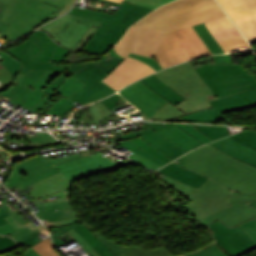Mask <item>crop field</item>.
<instances>
[{
	"mask_svg": "<svg viewBox=\"0 0 256 256\" xmlns=\"http://www.w3.org/2000/svg\"><path fill=\"white\" fill-rule=\"evenodd\" d=\"M80 218V217H79ZM81 219V218H80ZM83 223H85V221L83 219H81ZM86 224V223H85ZM86 226L97 236L99 237L105 244L106 246L116 255H120V254H123V252L119 249L123 246L119 245V244H116L106 238H104L103 236L99 235L98 233H96L90 226H88L86 224Z\"/></svg>",
	"mask_w": 256,
	"mask_h": 256,
	"instance_id": "43",
	"label": "crop field"
},
{
	"mask_svg": "<svg viewBox=\"0 0 256 256\" xmlns=\"http://www.w3.org/2000/svg\"><path fill=\"white\" fill-rule=\"evenodd\" d=\"M73 21L81 22L85 24H90L99 27L100 23L99 21L78 17L74 15L67 14L66 16L48 24L45 25L39 29H44L49 32L50 36L53 38L54 41L58 42L61 40V38L64 36L70 25Z\"/></svg>",
	"mask_w": 256,
	"mask_h": 256,
	"instance_id": "20",
	"label": "crop field"
},
{
	"mask_svg": "<svg viewBox=\"0 0 256 256\" xmlns=\"http://www.w3.org/2000/svg\"><path fill=\"white\" fill-rule=\"evenodd\" d=\"M112 1H116V2L122 3L124 0H112Z\"/></svg>",
	"mask_w": 256,
	"mask_h": 256,
	"instance_id": "71",
	"label": "crop field"
},
{
	"mask_svg": "<svg viewBox=\"0 0 256 256\" xmlns=\"http://www.w3.org/2000/svg\"><path fill=\"white\" fill-rule=\"evenodd\" d=\"M90 27V25L73 22L59 44L73 50Z\"/></svg>",
	"mask_w": 256,
	"mask_h": 256,
	"instance_id": "27",
	"label": "crop field"
},
{
	"mask_svg": "<svg viewBox=\"0 0 256 256\" xmlns=\"http://www.w3.org/2000/svg\"><path fill=\"white\" fill-rule=\"evenodd\" d=\"M73 181L69 182L61 172L52 175L38 183L31 185L34 188L28 191L35 199L51 195L56 192L71 189Z\"/></svg>",
	"mask_w": 256,
	"mask_h": 256,
	"instance_id": "18",
	"label": "crop field"
},
{
	"mask_svg": "<svg viewBox=\"0 0 256 256\" xmlns=\"http://www.w3.org/2000/svg\"><path fill=\"white\" fill-rule=\"evenodd\" d=\"M185 30L190 35V37L193 39V41L196 43V45L200 48V50L203 52L204 55L211 54V52L208 50V48L206 47L204 42L201 40V38L198 36V34L192 28V26L185 28Z\"/></svg>",
	"mask_w": 256,
	"mask_h": 256,
	"instance_id": "44",
	"label": "crop field"
},
{
	"mask_svg": "<svg viewBox=\"0 0 256 256\" xmlns=\"http://www.w3.org/2000/svg\"><path fill=\"white\" fill-rule=\"evenodd\" d=\"M204 24L224 53L250 49L249 44L228 16L204 22Z\"/></svg>",
	"mask_w": 256,
	"mask_h": 256,
	"instance_id": "13",
	"label": "crop field"
},
{
	"mask_svg": "<svg viewBox=\"0 0 256 256\" xmlns=\"http://www.w3.org/2000/svg\"><path fill=\"white\" fill-rule=\"evenodd\" d=\"M80 221V219L77 217L75 219H71V220H66V221H60V222H43L45 225H47L48 227H60L66 224H70V223H74V222H78Z\"/></svg>",
	"mask_w": 256,
	"mask_h": 256,
	"instance_id": "57",
	"label": "crop field"
},
{
	"mask_svg": "<svg viewBox=\"0 0 256 256\" xmlns=\"http://www.w3.org/2000/svg\"><path fill=\"white\" fill-rule=\"evenodd\" d=\"M176 125L181 129H183L184 131H186L187 133H189L190 135H192L193 137H195L196 139H198L199 141H201L203 144L213 141L191 125H186V124H176Z\"/></svg>",
	"mask_w": 256,
	"mask_h": 256,
	"instance_id": "42",
	"label": "crop field"
},
{
	"mask_svg": "<svg viewBox=\"0 0 256 256\" xmlns=\"http://www.w3.org/2000/svg\"><path fill=\"white\" fill-rule=\"evenodd\" d=\"M220 151L246 163L256 166V150L241 145L231 136L211 143Z\"/></svg>",
	"mask_w": 256,
	"mask_h": 256,
	"instance_id": "19",
	"label": "crop field"
},
{
	"mask_svg": "<svg viewBox=\"0 0 256 256\" xmlns=\"http://www.w3.org/2000/svg\"><path fill=\"white\" fill-rule=\"evenodd\" d=\"M119 144V143H118ZM121 145V144H120ZM122 146V145H121ZM124 147V146H123ZM127 149V148H126ZM130 151V150H129ZM132 152V151H131ZM134 153V152H133ZM128 158H130V159H132V160H134V161H136V162H138V163H140V164H142V165H144V166H146V167H148V168H150V169H152V170H156V169H158V168H160V167H162V166H160V165H158V164H156V163H154V162H152V161H150V160H148V159H146V158H144V157H142V156H140V155H138V154H136V153H134L132 156H130V157H128Z\"/></svg>",
	"mask_w": 256,
	"mask_h": 256,
	"instance_id": "49",
	"label": "crop field"
},
{
	"mask_svg": "<svg viewBox=\"0 0 256 256\" xmlns=\"http://www.w3.org/2000/svg\"><path fill=\"white\" fill-rule=\"evenodd\" d=\"M23 65L37 70L66 71L65 67L52 65L53 60L62 62H78L101 59L100 56L76 54L53 42L49 35L42 31H34L24 43L5 50Z\"/></svg>",
	"mask_w": 256,
	"mask_h": 256,
	"instance_id": "7",
	"label": "crop field"
},
{
	"mask_svg": "<svg viewBox=\"0 0 256 256\" xmlns=\"http://www.w3.org/2000/svg\"><path fill=\"white\" fill-rule=\"evenodd\" d=\"M4 10H5V5H3V4L0 3V34H1V33L4 31V29L7 27V25L1 21L2 16H3V13H4ZM1 37H2V36L0 35V38H1Z\"/></svg>",
	"mask_w": 256,
	"mask_h": 256,
	"instance_id": "60",
	"label": "crop field"
},
{
	"mask_svg": "<svg viewBox=\"0 0 256 256\" xmlns=\"http://www.w3.org/2000/svg\"><path fill=\"white\" fill-rule=\"evenodd\" d=\"M129 163L133 162L125 159L122 163L118 164L100 154L85 157L77 154L50 161L39 155L16 164L4 185L10 189L17 187L22 190L59 171L71 181L88 174Z\"/></svg>",
	"mask_w": 256,
	"mask_h": 256,
	"instance_id": "3",
	"label": "crop field"
},
{
	"mask_svg": "<svg viewBox=\"0 0 256 256\" xmlns=\"http://www.w3.org/2000/svg\"><path fill=\"white\" fill-rule=\"evenodd\" d=\"M101 256H115L86 226L82 224L73 228Z\"/></svg>",
	"mask_w": 256,
	"mask_h": 256,
	"instance_id": "28",
	"label": "crop field"
},
{
	"mask_svg": "<svg viewBox=\"0 0 256 256\" xmlns=\"http://www.w3.org/2000/svg\"><path fill=\"white\" fill-rule=\"evenodd\" d=\"M191 256H227V255L222 250H220L216 245H213Z\"/></svg>",
	"mask_w": 256,
	"mask_h": 256,
	"instance_id": "48",
	"label": "crop field"
},
{
	"mask_svg": "<svg viewBox=\"0 0 256 256\" xmlns=\"http://www.w3.org/2000/svg\"><path fill=\"white\" fill-rule=\"evenodd\" d=\"M130 57H133V58H136L138 60H141L147 64H149L150 66H152L154 68V70L158 71L161 68V66L154 60H152L151 58H148V57H143V56H139V55H136V54H132L130 53L129 55Z\"/></svg>",
	"mask_w": 256,
	"mask_h": 256,
	"instance_id": "55",
	"label": "crop field"
},
{
	"mask_svg": "<svg viewBox=\"0 0 256 256\" xmlns=\"http://www.w3.org/2000/svg\"><path fill=\"white\" fill-rule=\"evenodd\" d=\"M6 4L2 21L9 26L1 34L11 41L31 30L30 26L49 17L58 8L38 0H0Z\"/></svg>",
	"mask_w": 256,
	"mask_h": 256,
	"instance_id": "8",
	"label": "crop field"
},
{
	"mask_svg": "<svg viewBox=\"0 0 256 256\" xmlns=\"http://www.w3.org/2000/svg\"><path fill=\"white\" fill-rule=\"evenodd\" d=\"M85 85L86 84L72 76L66 79L64 83L55 91V93L70 98Z\"/></svg>",
	"mask_w": 256,
	"mask_h": 256,
	"instance_id": "30",
	"label": "crop field"
},
{
	"mask_svg": "<svg viewBox=\"0 0 256 256\" xmlns=\"http://www.w3.org/2000/svg\"><path fill=\"white\" fill-rule=\"evenodd\" d=\"M249 42H256V0H217Z\"/></svg>",
	"mask_w": 256,
	"mask_h": 256,
	"instance_id": "12",
	"label": "crop field"
},
{
	"mask_svg": "<svg viewBox=\"0 0 256 256\" xmlns=\"http://www.w3.org/2000/svg\"><path fill=\"white\" fill-rule=\"evenodd\" d=\"M175 34L188 52L191 59L199 56H204L184 29L175 31Z\"/></svg>",
	"mask_w": 256,
	"mask_h": 256,
	"instance_id": "33",
	"label": "crop field"
},
{
	"mask_svg": "<svg viewBox=\"0 0 256 256\" xmlns=\"http://www.w3.org/2000/svg\"><path fill=\"white\" fill-rule=\"evenodd\" d=\"M4 256H14V255L8 254V255H4Z\"/></svg>",
	"mask_w": 256,
	"mask_h": 256,
	"instance_id": "73",
	"label": "crop field"
},
{
	"mask_svg": "<svg viewBox=\"0 0 256 256\" xmlns=\"http://www.w3.org/2000/svg\"><path fill=\"white\" fill-rule=\"evenodd\" d=\"M87 9H92V10H96V11H101V12H106V13H111V14H114L116 9L115 8H109L108 10L109 11H106V9L104 8H99V7H95V6H90V5H87L86 7Z\"/></svg>",
	"mask_w": 256,
	"mask_h": 256,
	"instance_id": "61",
	"label": "crop field"
},
{
	"mask_svg": "<svg viewBox=\"0 0 256 256\" xmlns=\"http://www.w3.org/2000/svg\"><path fill=\"white\" fill-rule=\"evenodd\" d=\"M75 1L76 0H69V2L66 4V6L57 14V16L55 18H57L58 16H60L61 14H63L67 10H69L71 8V6L75 3ZM55 18H52L51 20H53Z\"/></svg>",
	"mask_w": 256,
	"mask_h": 256,
	"instance_id": "62",
	"label": "crop field"
},
{
	"mask_svg": "<svg viewBox=\"0 0 256 256\" xmlns=\"http://www.w3.org/2000/svg\"><path fill=\"white\" fill-rule=\"evenodd\" d=\"M240 143L256 149V133L253 131H242L236 135H232Z\"/></svg>",
	"mask_w": 256,
	"mask_h": 256,
	"instance_id": "40",
	"label": "crop field"
},
{
	"mask_svg": "<svg viewBox=\"0 0 256 256\" xmlns=\"http://www.w3.org/2000/svg\"><path fill=\"white\" fill-rule=\"evenodd\" d=\"M153 68L136 60L127 57L118 67H116L105 79L101 80L107 83L115 90H120L129 83H132L150 73Z\"/></svg>",
	"mask_w": 256,
	"mask_h": 256,
	"instance_id": "14",
	"label": "crop field"
},
{
	"mask_svg": "<svg viewBox=\"0 0 256 256\" xmlns=\"http://www.w3.org/2000/svg\"><path fill=\"white\" fill-rule=\"evenodd\" d=\"M152 10L154 9L123 2L114 15L76 7L70 14L102 21L81 50L86 53L102 54L119 41L131 24Z\"/></svg>",
	"mask_w": 256,
	"mask_h": 256,
	"instance_id": "6",
	"label": "crop field"
},
{
	"mask_svg": "<svg viewBox=\"0 0 256 256\" xmlns=\"http://www.w3.org/2000/svg\"><path fill=\"white\" fill-rule=\"evenodd\" d=\"M20 247L14 240L0 235V253L12 251Z\"/></svg>",
	"mask_w": 256,
	"mask_h": 256,
	"instance_id": "47",
	"label": "crop field"
},
{
	"mask_svg": "<svg viewBox=\"0 0 256 256\" xmlns=\"http://www.w3.org/2000/svg\"><path fill=\"white\" fill-rule=\"evenodd\" d=\"M156 130L161 135L165 136L167 139L178 144L184 149L190 151L200 145H203L195 138L187 134L186 132L179 129L174 124H165V123H146Z\"/></svg>",
	"mask_w": 256,
	"mask_h": 256,
	"instance_id": "17",
	"label": "crop field"
},
{
	"mask_svg": "<svg viewBox=\"0 0 256 256\" xmlns=\"http://www.w3.org/2000/svg\"><path fill=\"white\" fill-rule=\"evenodd\" d=\"M121 250L125 253L122 256H172L164 247L150 252L135 246L123 247Z\"/></svg>",
	"mask_w": 256,
	"mask_h": 256,
	"instance_id": "32",
	"label": "crop field"
},
{
	"mask_svg": "<svg viewBox=\"0 0 256 256\" xmlns=\"http://www.w3.org/2000/svg\"><path fill=\"white\" fill-rule=\"evenodd\" d=\"M181 256H183V255H181Z\"/></svg>",
	"mask_w": 256,
	"mask_h": 256,
	"instance_id": "74",
	"label": "crop field"
},
{
	"mask_svg": "<svg viewBox=\"0 0 256 256\" xmlns=\"http://www.w3.org/2000/svg\"><path fill=\"white\" fill-rule=\"evenodd\" d=\"M119 92L142 111V116L146 120L166 121L186 115L140 80L128 85Z\"/></svg>",
	"mask_w": 256,
	"mask_h": 256,
	"instance_id": "10",
	"label": "crop field"
},
{
	"mask_svg": "<svg viewBox=\"0 0 256 256\" xmlns=\"http://www.w3.org/2000/svg\"><path fill=\"white\" fill-rule=\"evenodd\" d=\"M207 227L215 240L233 256H242L256 249V242L239 226L230 229L217 220Z\"/></svg>",
	"mask_w": 256,
	"mask_h": 256,
	"instance_id": "11",
	"label": "crop field"
},
{
	"mask_svg": "<svg viewBox=\"0 0 256 256\" xmlns=\"http://www.w3.org/2000/svg\"><path fill=\"white\" fill-rule=\"evenodd\" d=\"M193 126L199 129L201 132H203L207 136H209L214 141L230 134L227 127L200 126V125H193Z\"/></svg>",
	"mask_w": 256,
	"mask_h": 256,
	"instance_id": "35",
	"label": "crop field"
},
{
	"mask_svg": "<svg viewBox=\"0 0 256 256\" xmlns=\"http://www.w3.org/2000/svg\"><path fill=\"white\" fill-rule=\"evenodd\" d=\"M117 91H115L114 89H112L111 87H106L105 89L101 90L100 92H98L97 94H95L94 96L90 97L89 99H87L86 101L82 102V104L88 106L92 103H94L95 101L105 98L113 93H115Z\"/></svg>",
	"mask_w": 256,
	"mask_h": 256,
	"instance_id": "46",
	"label": "crop field"
},
{
	"mask_svg": "<svg viewBox=\"0 0 256 256\" xmlns=\"http://www.w3.org/2000/svg\"><path fill=\"white\" fill-rule=\"evenodd\" d=\"M6 216H9V215L7 213H4V214L0 215V226L8 223V221L4 218Z\"/></svg>",
	"mask_w": 256,
	"mask_h": 256,
	"instance_id": "63",
	"label": "crop field"
},
{
	"mask_svg": "<svg viewBox=\"0 0 256 256\" xmlns=\"http://www.w3.org/2000/svg\"><path fill=\"white\" fill-rule=\"evenodd\" d=\"M140 80L174 105L185 100L172 89H170L166 84L160 81L154 74Z\"/></svg>",
	"mask_w": 256,
	"mask_h": 256,
	"instance_id": "25",
	"label": "crop field"
},
{
	"mask_svg": "<svg viewBox=\"0 0 256 256\" xmlns=\"http://www.w3.org/2000/svg\"><path fill=\"white\" fill-rule=\"evenodd\" d=\"M222 16L226 14L215 0H177L134 25L171 32Z\"/></svg>",
	"mask_w": 256,
	"mask_h": 256,
	"instance_id": "5",
	"label": "crop field"
},
{
	"mask_svg": "<svg viewBox=\"0 0 256 256\" xmlns=\"http://www.w3.org/2000/svg\"><path fill=\"white\" fill-rule=\"evenodd\" d=\"M194 29L197 31V33L200 35L202 40L205 42L207 47L210 49L212 54H218L223 53L220 47L217 45L211 34L208 32L206 27L201 24L193 25Z\"/></svg>",
	"mask_w": 256,
	"mask_h": 256,
	"instance_id": "34",
	"label": "crop field"
},
{
	"mask_svg": "<svg viewBox=\"0 0 256 256\" xmlns=\"http://www.w3.org/2000/svg\"><path fill=\"white\" fill-rule=\"evenodd\" d=\"M213 243H214V242H213ZM213 243H212V244H213ZM212 244H211V245H212ZM209 246H210V245H209ZM207 247H208V246H207ZM205 248H206V247H205ZM200 250H201V249H200ZM197 251H198V250H197ZM194 252H196V251H194ZM194 252H191V253H188V254H184V256H185V255L192 254V253H194Z\"/></svg>",
	"mask_w": 256,
	"mask_h": 256,
	"instance_id": "70",
	"label": "crop field"
},
{
	"mask_svg": "<svg viewBox=\"0 0 256 256\" xmlns=\"http://www.w3.org/2000/svg\"><path fill=\"white\" fill-rule=\"evenodd\" d=\"M172 163L210 179L195 189L168 176L162 178L193 202L183 207L206 225L215 219L233 227L256 216L246 202L256 200V167L236 160L208 144Z\"/></svg>",
	"mask_w": 256,
	"mask_h": 256,
	"instance_id": "1",
	"label": "crop field"
},
{
	"mask_svg": "<svg viewBox=\"0 0 256 256\" xmlns=\"http://www.w3.org/2000/svg\"><path fill=\"white\" fill-rule=\"evenodd\" d=\"M28 251L31 252L35 256H40L32 247Z\"/></svg>",
	"mask_w": 256,
	"mask_h": 256,
	"instance_id": "66",
	"label": "crop field"
},
{
	"mask_svg": "<svg viewBox=\"0 0 256 256\" xmlns=\"http://www.w3.org/2000/svg\"><path fill=\"white\" fill-rule=\"evenodd\" d=\"M6 219L18 231L17 233H15L13 235H9V236L14 238L15 241H17L18 243H20L24 246H27V247H31L32 245H34L35 243L40 241L39 234H42V233L45 234L48 232V230L43 225L35 227V228H33L29 223L26 225L19 226L11 216L6 217Z\"/></svg>",
	"mask_w": 256,
	"mask_h": 256,
	"instance_id": "21",
	"label": "crop field"
},
{
	"mask_svg": "<svg viewBox=\"0 0 256 256\" xmlns=\"http://www.w3.org/2000/svg\"><path fill=\"white\" fill-rule=\"evenodd\" d=\"M115 52L124 59L130 52L151 57L155 54L162 68L190 59L174 32L132 26L115 47Z\"/></svg>",
	"mask_w": 256,
	"mask_h": 256,
	"instance_id": "4",
	"label": "crop field"
},
{
	"mask_svg": "<svg viewBox=\"0 0 256 256\" xmlns=\"http://www.w3.org/2000/svg\"><path fill=\"white\" fill-rule=\"evenodd\" d=\"M74 103L75 102L62 97L51 108H49L46 113L47 114L58 115V116L62 117L67 111H69L73 108V106H71V105L74 104Z\"/></svg>",
	"mask_w": 256,
	"mask_h": 256,
	"instance_id": "36",
	"label": "crop field"
},
{
	"mask_svg": "<svg viewBox=\"0 0 256 256\" xmlns=\"http://www.w3.org/2000/svg\"><path fill=\"white\" fill-rule=\"evenodd\" d=\"M25 255H26V254H25ZM26 256H33V255H32L31 253H29V252H28Z\"/></svg>",
	"mask_w": 256,
	"mask_h": 256,
	"instance_id": "72",
	"label": "crop field"
},
{
	"mask_svg": "<svg viewBox=\"0 0 256 256\" xmlns=\"http://www.w3.org/2000/svg\"><path fill=\"white\" fill-rule=\"evenodd\" d=\"M119 143H121L122 145H124V146L127 147L128 149H130V150H132V151H134V152H136V153H138V154H140V155H142V156H144V157H146V158H148V159H150V160H152V161H154V162H156V163H158V164H160V165H162V166L166 165V164H164L162 161L156 159L155 157L149 155L148 153L144 152V151L141 150L140 148L136 147V146H135L134 144H132L129 140L122 141V142H119Z\"/></svg>",
	"mask_w": 256,
	"mask_h": 256,
	"instance_id": "45",
	"label": "crop field"
},
{
	"mask_svg": "<svg viewBox=\"0 0 256 256\" xmlns=\"http://www.w3.org/2000/svg\"><path fill=\"white\" fill-rule=\"evenodd\" d=\"M71 236L81 245L83 246L91 256H100L92 247H90L73 229L68 231Z\"/></svg>",
	"mask_w": 256,
	"mask_h": 256,
	"instance_id": "52",
	"label": "crop field"
},
{
	"mask_svg": "<svg viewBox=\"0 0 256 256\" xmlns=\"http://www.w3.org/2000/svg\"><path fill=\"white\" fill-rule=\"evenodd\" d=\"M99 2H94V1H88V4H93V5H97ZM102 4L101 6L102 7H105V8H109L111 7L112 5H108V4H103V3H100Z\"/></svg>",
	"mask_w": 256,
	"mask_h": 256,
	"instance_id": "64",
	"label": "crop field"
},
{
	"mask_svg": "<svg viewBox=\"0 0 256 256\" xmlns=\"http://www.w3.org/2000/svg\"><path fill=\"white\" fill-rule=\"evenodd\" d=\"M96 29L97 27L92 26L91 29L88 31V33L84 36V38L80 41V43L74 49V51L79 52L83 47V45L86 43V41L89 39V37L95 32Z\"/></svg>",
	"mask_w": 256,
	"mask_h": 256,
	"instance_id": "58",
	"label": "crop field"
},
{
	"mask_svg": "<svg viewBox=\"0 0 256 256\" xmlns=\"http://www.w3.org/2000/svg\"><path fill=\"white\" fill-rule=\"evenodd\" d=\"M6 212L3 207L0 208V214Z\"/></svg>",
	"mask_w": 256,
	"mask_h": 256,
	"instance_id": "69",
	"label": "crop field"
},
{
	"mask_svg": "<svg viewBox=\"0 0 256 256\" xmlns=\"http://www.w3.org/2000/svg\"><path fill=\"white\" fill-rule=\"evenodd\" d=\"M46 209L36 213L40 219L45 221H60L77 217L78 215L72 210L69 201L46 206Z\"/></svg>",
	"mask_w": 256,
	"mask_h": 256,
	"instance_id": "24",
	"label": "crop field"
},
{
	"mask_svg": "<svg viewBox=\"0 0 256 256\" xmlns=\"http://www.w3.org/2000/svg\"><path fill=\"white\" fill-rule=\"evenodd\" d=\"M125 1L134 3V4H140V5L152 7V8H157L158 6L165 4L167 2H170L172 0H125Z\"/></svg>",
	"mask_w": 256,
	"mask_h": 256,
	"instance_id": "50",
	"label": "crop field"
},
{
	"mask_svg": "<svg viewBox=\"0 0 256 256\" xmlns=\"http://www.w3.org/2000/svg\"><path fill=\"white\" fill-rule=\"evenodd\" d=\"M181 167V166H180ZM172 163L167 164L163 168L157 170L165 175H168L180 182L198 188L203 183H205L208 178L200 176L196 173L185 170L184 168H180ZM200 188V187H199Z\"/></svg>",
	"mask_w": 256,
	"mask_h": 256,
	"instance_id": "22",
	"label": "crop field"
},
{
	"mask_svg": "<svg viewBox=\"0 0 256 256\" xmlns=\"http://www.w3.org/2000/svg\"><path fill=\"white\" fill-rule=\"evenodd\" d=\"M90 110L96 124L101 123L99 120L104 119V117L112 115V112L101 101L90 105Z\"/></svg>",
	"mask_w": 256,
	"mask_h": 256,
	"instance_id": "39",
	"label": "crop field"
},
{
	"mask_svg": "<svg viewBox=\"0 0 256 256\" xmlns=\"http://www.w3.org/2000/svg\"><path fill=\"white\" fill-rule=\"evenodd\" d=\"M2 206L6 209V211L8 212V214H10L15 220L16 222L21 225V224H25L26 222L15 212V210L11 211V206L10 204L7 202L6 199H2L0 200Z\"/></svg>",
	"mask_w": 256,
	"mask_h": 256,
	"instance_id": "53",
	"label": "crop field"
},
{
	"mask_svg": "<svg viewBox=\"0 0 256 256\" xmlns=\"http://www.w3.org/2000/svg\"><path fill=\"white\" fill-rule=\"evenodd\" d=\"M102 103L106 105L109 110L114 111L115 108L121 107V106H127L129 103L124 100L121 96L114 94L104 100H102Z\"/></svg>",
	"mask_w": 256,
	"mask_h": 256,
	"instance_id": "41",
	"label": "crop field"
},
{
	"mask_svg": "<svg viewBox=\"0 0 256 256\" xmlns=\"http://www.w3.org/2000/svg\"><path fill=\"white\" fill-rule=\"evenodd\" d=\"M248 235L256 241V220L250 219L239 225Z\"/></svg>",
	"mask_w": 256,
	"mask_h": 256,
	"instance_id": "51",
	"label": "crop field"
},
{
	"mask_svg": "<svg viewBox=\"0 0 256 256\" xmlns=\"http://www.w3.org/2000/svg\"><path fill=\"white\" fill-rule=\"evenodd\" d=\"M41 256H60L51 244L50 238L32 246Z\"/></svg>",
	"mask_w": 256,
	"mask_h": 256,
	"instance_id": "38",
	"label": "crop field"
},
{
	"mask_svg": "<svg viewBox=\"0 0 256 256\" xmlns=\"http://www.w3.org/2000/svg\"><path fill=\"white\" fill-rule=\"evenodd\" d=\"M42 1H45V2H47V3H50V4L54 5V6L59 7V9H58L52 16H50L49 18L55 17L56 14H57V13L65 6V4L68 2V0H42ZM49 18H48V19H49ZM46 20H47V19H46ZM44 21H45V20H44ZM44 21H42V22H44ZM42 22H40V23H38V24H36V25H34V26H32V27L34 28V27L40 25Z\"/></svg>",
	"mask_w": 256,
	"mask_h": 256,
	"instance_id": "56",
	"label": "crop field"
},
{
	"mask_svg": "<svg viewBox=\"0 0 256 256\" xmlns=\"http://www.w3.org/2000/svg\"><path fill=\"white\" fill-rule=\"evenodd\" d=\"M174 120H175V122H185V121H184L183 119H181L180 117L175 118ZM169 121H172V120H169Z\"/></svg>",
	"mask_w": 256,
	"mask_h": 256,
	"instance_id": "67",
	"label": "crop field"
},
{
	"mask_svg": "<svg viewBox=\"0 0 256 256\" xmlns=\"http://www.w3.org/2000/svg\"><path fill=\"white\" fill-rule=\"evenodd\" d=\"M16 232V230L12 227V225L10 223L0 227V233L1 234H5V235H9Z\"/></svg>",
	"mask_w": 256,
	"mask_h": 256,
	"instance_id": "59",
	"label": "crop field"
},
{
	"mask_svg": "<svg viewBox=\"0 0 256 256\" xmlns=\"http://www.w3.org/2000/svg\"><path fill=\"white\" fill-rule=\"evenodd\" d=\"M249 204H250L251 206H253L254 208H256V201L249 202ZM254 218L256 219V217H254Z\"/></svg>",
	"mask_w": 256,
	"mask_h": 256,
	"instance_id": "68",
	"label": "crop field"
},
{
	"mask_svg": "<svg viewBox=\"0 0 256 256\" xmlns=\"http://www.w3.org/2000/svg\"><path fill=\"white\" fill-rule=\"evenodd\" d=\"M220 117H222V116L219 113H217L215 110H213L212 108H207V109L199 111V112L188 114L186 116H183L182 118L184 120H186L187 122L217 124L215 119L220 118ZM223 120L225 122H227L228 124H231L225 118H223Z\"/></svg>",
	"mask_w": 256,
	"mask_h": 256,
	"instance_id": "29",
	"label": "crop field"
},
{
	"mask_svg": "<svg viewBox=\"0 0 256 256\" xmlns=\"http://www.w3.org/2000/svg\"><path fill=\"white\" fill-rule=\"evenodd\" d=\"M46 71H36L31 70L27 74H25L23 77H21L19 80L20 83L13 86L9 89L8 93H1L0 95L8 98L12 102H17L19 99H21L23 96H25L28 92L31 90H34L30 88L29 86L35 82L41 75H43Z\"/></svg>",
	"mask_w": 256,
	"mask_h": 256,
	"instance_id": "23",
	"label": "crop field"
},
{
	"mask_svg": "<svg viewBox=\"0 0 256 256\" xmlns=\"http://www.w3.org/2000/svg\"><path fill=\"white\" fill-rule=\"evenodd\" d=\"M11 74L7 71L3 64H0V83L5 86L12 80Z\"/></svg>",
	"mask_w": 256,
	"mask_h": 256,
	"instance_id": "54",
	"label": "crop field"
},
{
	"mask_svg": "<svg viewBox=\"0 0 256 256\" xmlns=\"http://www.w3.org/2000/svg\"><path fill=\"white\" fill-rule=\"evenodd\" d=\"M212 57L215 64L197 67L188 61L155 73L186 99L175 105L186 114L212 107L209 101L213 99L256 87L253 74L233 64L230 54Z\"/></svg>",
	"mask_w": 256,
	"mask_h": 256,
	"instance_id": "2",
	"label": "crop field"
},
{
	"mask_svg": "<svg viewBox=\"0 0 256 256\" xmlns=\"http://www.w3.org/2000/svg\"><path fill=\"white\" fill-rule=\"evenodd\" d=\"M221 113L256 106V88L239 92L210 102Z\"/></svg>",
	"mask_w": 256,
	"mask_h": 256,
	"instance_id": "16",
	"label": "crop field"
},
{
	"mask_svg": "<svg viewBox=\"0 0 256 256\" xmlns=\"http://www.w3.org/2000/svg\"><path fill=\"white\" fill-rule=\"evenodd\" d=\"M0 55L5 60L0 63H3L5 65V67L8 69V71L12 74L13 77L15 74L20 72V76H19V78H20L25 73H27L29 70H31V69L21 65L22 63L20 64V62H18L16 59H14L12 56H10L9 54H7L6 52H4L2 50H0Z\"/></svg>",
	"mask_w": 256,
	"mask_h": 256,
	"instance_id": "31",
	"label": "crop field"
},
{
	"mask_svg": "<svg viewBox=\"0 0 256 256\" xmlns=\"http://www.w3.org/2000/svg\"><path fill=\"white\" fill-rule=\"evenodd\" d=\"M60 72L48 71L43 76H41L34 84L30 87L37 88L38 90L22 105V107L30 110L33 108L37 102L43 98L46 93L41 90L52 80L54 79Z\"/></svg>",
	"mask_w": 256,
	"mask_h": 256,
	"instance_id": "26",
	"label": "crop field"
},
{
	"mask_svg": "<svg viewBox=\"0 0 256 256\" xmlns=\"http://www.w3.org/2000/svg\"><path fill=\"white\" fill-rule=\"evenodd\" d=\"M94 1H99V2H104V3H108V4H113L116 6H120V3H116V2H112V1H108V0H94Z\"/></svg>",
	"mask_w": 256,
	"mask_h": 256,
	"instance_id": "65",
	"label": "crop field"
},
{
	"mask_svg": "<svg viewBox=\"0 0 256 256\" xmlns=\"http://www.w3.org/2000/svg\"><path fill=\"white\" fill-rule=\"evenodd\" d=\"M138 136H141L151 146H153L163 154L167 155L172 160L188 152L183 148L177 146L176 144L172 143L171 141L167 140L166 138L155 132L152 128L140 132H133L121 135L123 140Z\"/></svg>",
	"mask_w": 256,
	"mask_h": 256,
	"instance_id": "15",
	"label": "crop field"
},
{
	"mask_svg": "<svg viewBox=\"0 0 256 256\" xmlns=\"http://www.w3.org/2000/svg\"><path fill=\"white\" fill-rule=\"evenodd\" d=\"M123 60L124 59L119 57L112 48L98 61L66 63L72 75L87 84L72 96L71 99L80 103L108 86L100 80L105 78Z\"/></svg>",
	"mask_w": 256,
	"mask_h": 256,
	"instance_id": "9",
	"label": "crop field"
},
{
	"mask_svg": "<svg viewBox=\"0 0 256 256\" xmlns=\"http://www.w3.org/2000/svg\"><path fill=\"white\" fill-rule=\"evenodd\" d=\"M131 142H133L136 146L140 147L141 149L145 150L149 154L155 156L156 158L162 160L166 164L171 161L168 157L151 147L148 143H146L144 140H142L141 137L130 139Z\"/></svg>",
	"mask_w": 256,
	"mask_h": 256,
	"instance_id": "37",
	"label": "crop field"
}]
</instances>
